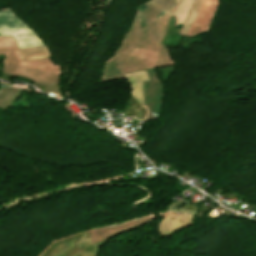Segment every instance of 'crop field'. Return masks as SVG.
Returning <instances> with one entry per match:
<instances>
[{
    "label": "crop field",
    "mask_w": 256,
    "mask_h": 256,
    "mask_svg": "<svg viewBox=\"0 0 256 256\" xmlns=\"http://www.w3.org/2000/svg\"><path fill=\"white\" fill-rule=\"evenodd\" d=\"M177 2L178 0H151L148 3L162 9L163 11L171 15Z\"/></svg>",
    "instance_id": "4"
},
{
    "label": "crop field",
    "mask_w": 256,
    "mask_h": 256,
    "mask_svg": "<svg viewBox=\"0 0 256 256\" xmlns=\"http://www.w3.org/2000/svg\"><path fill=\"white\" fill-rule=\"evenodd\" d=\"M133 86L134 96L143 103L142 81L149 80L145 71L125 74Z\"/></svg>",
    "instance_id": "2"
},
{
    "label": "crop field",
    "mask_w": 256,
    "mask_h": 256,
    "mask_svg": "<svg viewBox=\"0 0 256 256\" xmlns=\"http://www.w3.org/2000/svg\"><path fill=\"white\" fill-rule=\"evenodd\" d=\"M217 4L218 0H201L197 17L188 35H195L199 32L208 31Z\"/></svg>",
    "instance_id": "1"
},
{
    "label": "crop field",
    "mask_w": 256,
    "mask_h": 256,
    "mask_svg": "<svg viewBox=\"0 0 256 256\" xmlns=\"http://www.w3.org/2000/svg\"><path fill=\"white\" fill-rule=\"evenodd\" d=\"M19 50L23 60H39L50 56L43 45L22 47Z\"/></svg>",
    "instance_id": "3"
}]
</instances>
